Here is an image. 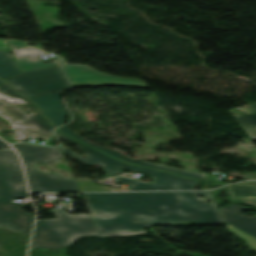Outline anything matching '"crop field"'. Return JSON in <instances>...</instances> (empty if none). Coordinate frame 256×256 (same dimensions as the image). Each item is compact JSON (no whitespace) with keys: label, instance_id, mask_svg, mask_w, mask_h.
I'll use <instances>...</instances> for the list:
<instances>
[{"label":"crop field","instance_id":"1","mask_svg":"<svg viewBox=\"0 0 256 256\" xmlns=\"http://www.w3.org/2000/svg\"><path fill=\"white\" fill-rule=\"evenodd\" d=\"M195 195H203L206 199ZM83 196L100 232L146 229L148 225L179 222L225 224L211 191ZM205 200L213 203L205 204ZM134 220L140 222L134 223Z\"/></svg>","mask_w":256,"mask_h":256},{"label":"crop field","instance_id":"2","mask_svg":"<svg viewBox=\"0 0 256 256\" xmlns=\"http://www.w3.org/2000/svg\"><path fill=\"white\" fill-rule=\"evenodd\" d=\"M53 210L58 219L37 221L31 249H62L83 235L146 233V230L99 233L90 215H71L65 210Z\"/></svg>","mask_w":256,"mask_h":256},{"label":"crop field","instance_id":"3","mask_svg":"<svg viewBox=\"0 0 256 256\" xmlns=\"http://www.w3.org/2000/svg\"><path fill=\"white\" fill-rule=\"evenodd\" d=\"M16 197H28L18 158L13 150L0 151V227L30 235L34 216L14 206Z\"/></svg>","mask_w":256,"mask_h":256},{"label":"crop field","instance_id":"4","mask_svg":"<svg viewBox=\"0 0 256 256\" xmlns=\"http://www.w3.org/2000/svg\"><path fill=\"white\" fill-rule=\"evenodd\" d=\"M57 135H60L69 141L77 144L87 155L88 158L80 157L76 154H74L73 151H70L64 147L61 146V149L63 153L70 155L83 163L87 165H95L99 164L101 165L104 170L106 171L108 176H116L119 175L121 168H126L130 170L140 171L143 173H147L148 175L152 176L154 178L153 184H147L142 181H136L134 179H126L121 177L115 178V183H130V189L129 191H146V190H195L198 181L194 180H188V179H182L178 178L176 176H173L171 174L147 170L131 165H127L123 162L117 161L113 158H110L88 146H85L61 133L56 131Z\"/></svg>","mask_w":256,"mask_h":256},{"label":"crop field","instance_id":"5","mask_svg":"<svg viewBox=\"0 0 256 256\" xmlns=\"http://www.w3.org/2000/svg\"><path fill=\"white\" fill-rule=\"evenodd\" d=\"M23 158L32 192L80 191L75 180L45 174L35 169V164L52 163L62 158L60 148H48L19 143L13 145Z\"/></svg>","mask_w":256,"mask_h":256},{"label":"crop field","instance_id":"6","mask_svg":"<svg viewBox=\"0 0 256 256\" xmlns=\"http://www.w3.org/2000/svg\"><path fill=\"white\" fill-rule=\"evenodd\" d=\"M0 93L13 99L25 101L37 111L34 115H27L24 111L0 101V116L15 127L14 140L24 141L31 136L42 140H49L54 137L51 125L41 116L36 106L6 83L0 86Z\"/></svg>","mask_w":256,"mask_h":256},{"label":"crop field","instance_id":"7","mask_svg":"<svg viewBox=\"0 0 256 256\" xmlns=\"http://www.w3.org/2000/svg\"><path fill=\"white\" fill-rule=\"evenodd\" d=\"M28 98L64 91L70 88L59 66L26 71L6 80Z\"/></svg>","mask_w":256,"mask_h":256},{"label":"crop field","instance_id":"8","mask_svg":"<svg viewBox=\"0 0 256 256\" xmlns=\"http://www.w3.org/2000/svg\"><path fill=\"white\" fill-rule=\"evenodd\" d=\"M73 87L126 86L149 89L144 81L135 78H119L94 70L90 66L71 64L62 66Z\"/></svg>","mask_w":256,"mask_h":256},{"label":"crop field","instance_id":"9","mask_svg":"<svg viewBox=\"0 0 256 256\" xmlns=\"http://www.w3.org/2000/svg\"><path fill=\"white\" fill-rule=\"evenodd\" d=\"M60 130H62L63 132L67 133L68 135L76 138L79 141H82L110 156H113L115 158L118 159H122L128 163H132V164H136V165H141V166H146V167H150V168H155V169H159V170H164V171H168V172H172L175 174H178L180 176H184V177H189V178H194V179H199V180H207L205 174H200V173H195V172H190V171H185V170H181V169H176V168H171V167H166V166H161V165H156V164H152V163H148V162H144V161H134L132 159H129L127 157H125L124 155L115 152L113 150L110 149H106L103 147H99L96 146L94 144H91L87 141H85L84 139H82L81 137H79L78 135H76L75 133H73L70 129H68L66 126L60 128Z\"/></svg>","mask_w":256,"mask_h":256},{"label":"crop field","instance_id":"10","mask_svg":"<svg viewBox=\"0 0 256 256\" xmlns=\"http://www.w3.org/2000/svg\"><path fill=\"white\" fill-rule=\"evenodd\" d=\"M63 92L31 98L40 106L43 114L53 123L54 127L66 122V110L61 103Z\"/></svg>","mask_w":256,"mask_h":256},{"label":"crop field","instance_id":"11","mask_svg":"<svg viewBox=\"0 0 256 256\" xmlns=\"http://www.w3.org/2000/svg\"><path fill=\"white\" fill-rule=\"evenodd\" d=\"M245 209L252 210L233 203H230L229 207H221L229 224L256 237V217L242 214Z\"/></svg>","mask_w":256,"mask_h":256},{"label":"crop field","instance_id":"12","mask_svg":"<svg viewBox=\"0 0 256 256\" xmlns=\"http://www.w3.org/2000/svg\"><path fill=\"white\" fill-rule=\"evenodd\" d=\"M18 63L23 71L57 66L55 62L45 64L39 55L45 54L41 49L31 48L28 45L12 48Z\"/></svg>","mask_w":256,"mask_h":256},{"label":"crop field","instance_id":"13","mask_svg":"<svg viewBox=\"0 0 256 256\" xmlns=\"http://www.w3.org/2000/svg\"><path fill=\"white\" fill-rule=\"evenodd\" d=\"M231 200L256 205V185L235 184L227 186Z\"/></svg>","mask_w":256,"mask_h":256},{"label":"crop field","instance_id":"14","mask_svg":"<svg viewBox=\"0 0 256 256\" xmlns=\"http://www.w3.org/2000/svg\"><path fill=\"white\" fill-rule=\"evenodd\" d=\"M21 72L16 59L12 57L11 53L0 51V78L6 80Z\"/></svg>","mask_w":256,"mask_h":256},{"label":"crop field","instance_id":"15","mask_svg":"<svg viewBox=\"0 0 256 256\" xmlns=\"http://www.w3.org/2000/svg\"><path fill=\"white\" fill-rule=\"evenodd\" d=\"M252 107L256 110V105ZM236 118L249 136L256 139V112L254 115L239 116Z\"/></svg>","mask_w":256,"mask_h":256},{"label":"crop field","instance_id":"16","mask_svg":"<svg viewBox=\"0 0 256 256\" xmlns=\"http://www.w3.org/2000/svg\"><path fill=\"white\" fill-rule=\"evenodd\" d=\"M81 191H112L113 188L104 185H98L89 179H76Z\"/></svg>","mask_w":256,"mask_h":256},{"label":"crop field","instance_id":"17","mask_svg":"<svg viewBox=\"0 0 256 256\" xmlns=\"http://www.w3.org/2000/svg\"><path fill=\"white\" fill-rule=\"evenodd\" d=\"M227 229L229 232L240 237L248 245L249 249L256 251V238L252 237L251 235H249V234H247L229 224H227Z\"/></svg>","mask_w":256,"mask_h":256},{"label":"crop field","instance_id":"18","mask_svg":"<svg viewBox=\"0 0 256 256\" xmlns=\"http://www.w3.org/2000/svg\"><path fill=\"white\" fill-rule=\"evenodd\" d=\"M8 41H9L11 47L31 43V42H28V41H16V40H13V39H8Z\"/></svg>","mask_w":256,"mask_h":256},{"label":"crop field","instance_id":"19","mask_svg":"<svg viewBox=\"0 0 256 256\" xmlns=\"http://www.w3.org/2000/svg\"><path fill=\"white\" fill-rule=\"evenodd\" d=\"M10 46L6 39H0V50L9 51Z\"/></svg>","mask_w":256,"mask_h":256},{"label":"crop field","instance_id":"20","mask_svg":"<svg viewBox=\"0 0 256 256\" xmlns=\"http://www.w3.org/2000/svg\"><path fill=\"white\" fill-rule=\"evenodd\" d=\"M55 58H56L57 62H58L60 65L66 64V63L62 60V59H63L62 56L58 55V56H55Z\"/></svg>","mask_w":256,"mask_h":256},{"label":"crop field","instance_id":"21","mask_svg":"<svg viewBox=\"0 0 256 256\" xmlns=\"http://www.w3.org/2000/svg\"><path fill=\"white\" fill-rule=\"evenodd\" d=\"M0 148L7 149V148H10V147L6 143H4L3 141L0 140Z\"/></svg>","mask_w":256,"mask_h":256},{"label":"crop field","instance_id":"22","mask_svg":"<svg viewBox=\"0 0 256 256\" xmlns=\"http://www.w3.org/2000/svg\"><path fill=\"white\" fill-rule=\"evenodd\" d=\"M224 190L221 188L213 192L214 195H220Z\"/></svg>","mask_w":256,"mask_h":256},{"label":"crop field","instance_id":"23","mask_svg":"<svg viewBox=\"0 0 256 256\" xmlns=\"http://www.w3.org/2000/svg\"><path fill=\"white\" fill-rule=\"evenodd\" d=\"M218 201V205H221L224 203V201H222L221 199L217 200Z\"/></svg>","mask_w":256,"mask_h":256},{"label":"crop field","instance_id":"24","mask_svg":"<svg viewBox=\"0 0 256 256\" xmlns=\"http://www.w3.org/2000/svg\"><path fill=\"white\" fill-rule=\"evenodd\" d=\"M0 97H2V98H4V99L12 100V99L7 98V97H5V96H3V95H0Z\"/></svg>","mask_w":256,"mask_h":256},{"label":"crop field","instance_id":"25","mask_svg":"<svg viewBox=\"0 0 256 256\" xmlns=\"http://www.w3.org/2000/svg\"><path fill=\"white\" fill-rule=\"evenodd\" d=\"M4 83L3 81L0 80V84Z\"/></svg>","mask_w":256,"mask_h":256}]
</instances>
